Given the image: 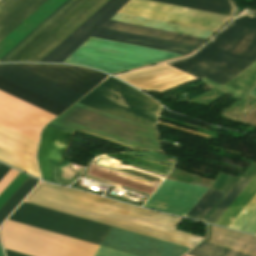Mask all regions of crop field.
<instances>
[{"label":"crop field","instance_id":"obj_1","mask_svg":"<svg viewBox=\"0 0 256 256\" xmlns=\"http://www.w3.org/2000/svg\"><path fill=\"white\" fill-rule=\"evenodd\" d=\"M133 0H109L41 62H63L89 39L185 56L204 39L110 21ZM121 14L214 32L229 17L134 0Z\"/></svg>","mask_w":256,"mask_h":256},{"label":"crop field","instance_id":"obj_2","mask_svg":"<svg viewBox=\"0 0 256 256\" xmlns=\"http://www.w3.org/2000/svg\"><path fill=\"white\" fill-rule=\"evenodd\" d=\"M191 248L201 237L174 230L182 218L42 182L25 201ZM202 241V240H201Z\"/></svg>","mask_w":256,"mask_h":256},{"label":"crop field","instance_id":"obj_3","mask_svg":"<svg viewBox=\"0 0 256 256\" xmlns=\"http://www.w3.org/2000/svg\"><path fill=\"white\" fill-rule=\"evenodd\" d=\"M101 245L111 226L23 202L9 218ZM102 246L139 256H181L189 248L112 227Z\"/></svg>","mask_w":256,"mask_h":256},{"label":"crop field","instance_id":"obj_4","mask_svg":"<svg viewBox=\"0 0 256 256\" xmlns=\"http://www.w3.org/2000/svg\"><path fill=\"white\" fill-rule=\"evenodd\" d=\"M256 60V17L240 15L194 56L166 63L221 85Z\"/></svg>","mask_w":256,"mask_h":256},{"label":"crop field","instance_id":"obj_5","mask_svg":"<svg viewBox=\"0 0 256 256\" xmlns=\"http://www.w3.org/2000/svg\"><path fill=\"white\" fill-rule=\"evenodd\" d=\"M108 0H66L1 59L40 62Z\"/></svg>","mask_w":256,"mask_h":256},{"label":"crop field","instance_id":"obj_6","mask_svg":"<svg viewBox=\"0 0 256 256\" xmlns=\"http://www.w3.org/2000/svg\"><path fill=\"white\" fill-rule=\"evenodd\" d=\"M52 124L77 132L82 129L147 150L161 151L156 129L77 103Z\"/></svg>","mask_w":256,"mask_h":256},{"label":"crop field","instance_id":"obj_7","mask_svg":"<svg viewBox=\"0 0 256 256\" xmlns=\"http://www.w3.org/2000/svg\"><path fill=\"white\" fill-rule=\"evenodd\" d=\"M4 247L31 256H93L98 245L7 220L0 231ZM94 256H134L109 248Z\"/></svg>","mask_w":256,"mask_h":256},{"label":"crop field","instance_id":"obj_8","mask_svg":"<svg viewBox=\"0 0 256 256\" xmlns=\"http://www.w3.org/2000/svg\"><path fill=\"white\" fill-rule=\"evenodd\" d=\"M79 103L154 127L160 108L153 99L111 77Z\"/></svg>","mask_w":256,"mask_h":256},{"label":"crop field","instance_id":"obj_9","mask_svg":"<svg viewBox=\"0 0 256 256\" xmlns=\"http://www.w3.org/2000/svg\"><path fill=\"white\" fill-rule=\"evenodd\" d=\"M55 116L0 92V125L38 142L41 128Z\"/></svg>","mask_w":256,"mask_h":256},{"label":"crop field","instance_id":"obj_10","mask_svg":"<svg viewBox=\"0 0 256 256\" xmlns=\"http://www.w3.org/2000/svg\"><path fill=\"white\" fill-rule=\"evenodd\" d=\"M206 190L165 179L143 207L185 216Z\"/></svg>","mask_w":256,"mask_h":256},{"label":"crop field","instance_id":"obj_11","mask_svg":"<svg viewBox=\"0 0 256 256\" xmlns=\"http://www.w3.org/2000/svg\"><path fill=\"white\" fill-rule=\"evenodd\" d=\"M82 95L101 82L107 75L94 70L64 65L16 64Z\"/></svg>","mask_w":256,"mask_h":256},{"label":"crop field","instance_id":"obj_12","mask_svg":"<svg viewBox=\"0 0 256 256\" xmlns=\"http://www.w3.org/2000/svg\"><path fill=\"white\" fill-rule=\"evenodd\" d=\"M0 76L31 89L67 107L82 95L22 69L14 64L0 65Z\"/></svg>","mask_w":256,"mask_h":256},{"label":"crop field","instance_id":"obj_13","mask_svg":"<svg viewBox=\"0 0 256 256\" xmlns=\"http://www.w3.org/2000/svg\"><path fill=\"white\" fill-rule=\"evenodd\" d=\"M38 143L0 126V146L36 162ZM0 147V160L39 178L37 164Z\"/></svg>","mask_w":256,"mask_h":256},{"label":"crop field","instance_id":"obj_14","mask_svg":"<svg viewBox=\"0 0 256 256\" xmlns=\"http://www.w3.org/2000/svg\"><path fill=\"white\" fill-rule=\"evenodd\" d=\"M117 77L139 89L143 87L158 89L195 79L166 64L120 75Z\"/></svg>","mask_w":256,"mask_h":256},{"label":"crop field","instance_id":"obj_15","mask_svg":"<svg viewBox=\"0 0 256 256\" xmlns=\"http://www.w3.org/2000/svg\"><path fill=\"white\" fill-rule=\"evenodd\" d=\"M72 134L47 127L39 153V162L44 180L51 181V167L49 160L61 162Z\"/></svg>","mask_w":256,"mask_h":256},{"label":"crop field","instance_id":"obj_16","mask_svg":"<svg viewBox=\"0 0 256 256\" xmlns=\"http://www.w3.org/2000/svg\"><path fill=\"white\" fill-rule=\"evenodd\" d=\"M46 0H0V42Z\"/></svg>","mask_w":256,"mask_h":256},{"label":"crop field","instance_id":"obj_17","mask_svg":"<svg viewBox=\"0 0 256 256\" xmlns=\"http://www.w3.org/2000/svg\"><path fill=\"white\" fill-rule=\"evenodd\" d=\"M0 91L18 98L26 103L38 107L55 116L63 112L67 107L41 96L31 90L17 85L7 79L0 77Z\"/></svg>","mask_w":256,"mask_h":256},{"label":"crop field","instance_id":"obj_18","mask_svg":"<svg viewBox=\"0 0 256 256\" xmlns=\"http://www.w3.org/2000/svg\"><path fill=\"white\" fill-rule=\"evenodd\" d=\"M210 242L251 256H256L255 237L213 226Z\"/></svg>","mask_w":256,"mask_h":256},{"label":"crop field","instance_id":"obj_19","mask_svg":"<svg viewBox=\"0 0 256 256\" xmlns=\"http://www.w3.org/2000/svg\"><path fill=\"white\" fill-rule=\"evenodd\" d=\"M222 15L232 16L235 4L232 0H151Z\"/></svg>","mask_w":256,"mask_h":256},{"label":"crop field","instance_id":"obj_20","mask_svg":"<svg viewBox=\"0 0 256 256\" xmlns=\"http://www.w3.org/2000/svg\"><path fill=\"white\" fill-rule=\"evenodd\" d=\"M256 194V175L251 179L248 185L232 202L222 216L215 224L228 227L235 217L241 212L251 198Z\"/></svg>","mask_w":256,"mask_h":256},{"label":"crop field","instance_id":"obj_21","mask_svg":"<svg viewBox=\"0 0 256 256\" xmlns=\"http://www.w3.org/2000/svg\"><path fill=\"white\" fill-rule=\"evenodd\" d=\"M223 194V192L208 189L186 216L202 220Z\"/></svg>","mask_w":256,"mask_h":256},{"label":"crop field","instance_id":"obj_22","mask_svg":"<svg viewBox=\"0 0 256 256\" xmlns=\"http://www.w3.org/2000/svg\"><path fill=\"white\" fill-rule=\"evenodd\" d=\"M39 181L29 177L25 183L15 192V194L0 209V224L15 209V207L25 198Z\"/></svg>","mask_w":256,"mask_h":256},{"label":"crop field","instance_id":"obj_23","mask_svg":"<svg viewBox=\"0 0 256 256\" xmlns=\"http://www.w3.org/2000/svg\"><path fill=\"white\" fill-rule=\"evenodd\" d=\"M248 182L249 180L241 177L232 187V189L227 193V195L222 199V201L217 205V207L212 211V213L207 217L205 222L214 224Z\"/></svg>","mask_w":256,"mask_h":256},{"label":"crop field","instance_id":"obj_24","mask_svg":"<svg viewBox=\"0 0 256 256\" xmlns=\"http://www.w3.org/2000/svg\"><path fill=\"white\" fill-rule=\"evenodd\" d=\"M187 254L192 256H247L205 241Z\"/></svg>","mask_w":256,"mask_h":256},{"label":"crop field","instance_id":"obj_25","mask_svg":"<svg viewBox=\"0 0 256 256\" xmlns=\"http://www.w3.org/2000/svg\"><path fill=\"white\" fill-rule=\"evenodd\" d=\"M241 231L256 234V211L240 229Z\"/></svg>","mask_w":256,"mask_h":256},{"label":"crop field","instance_id":"obj_26","mask_svg":"<svg viewBox=\"0 0 256 256\" xmlns=\"http://www.w3.org/2000/svg\"><path fill=\"white\" fill-rule=\"evenodd\" d=\"M19 174V172L11 169L7 175L0 181V194L4 189L14 180V178Z\"/></svg>","mask_w":256,"mask_h":256},{"label":"crop field","instance_id":"obj_27","mask_svg":"<svg viewBox=\"0 0 256 256\" xmlns=\"http://www.w3.org/2000/svg\"><path fill=\"white\" fill-rule=\"evenodd\" d=\"M239 122L249 124L256 127V107L245 115Z\"/></svg>","mask_w":256,"mask_h":256},{"label":"crop field","instance_id":"obj_28","mask_svg":"<svg viewBox=\"0 0 256 256\" xmlns=\"http://www.w3.org/2000/svg\"><path fill=\"white\" fill-rule=\"evenodd\" d=\"M10 168L0 164V180L6 175Z\"/></svg>","mask_w":256,"mask_h":256},{"label":"crop field","instance_id":"obj_29","mask_svg":"<svg viewBox=\"0 0 256 256\" xmlns=\"http://www.w3.org/2000/svg\"><path fill=\"white\" fill-rule=\"evenodd\" d=\"M6 254H7V256H28V255H24V254H21V253L13 252V251H10V250H6Z\"/></svg>","mask_w":256,"mask_h":256},{"label":"crop field","instance_id":"obj_30","mask_svg":"<svg viewBox=\"0 0 256 256\" xmlns=\"http://www.w3.org/2000/svg\"><path fill=\"white\" fill-rule=\"evenodd\" d=\"M49 127L56 128V129L74 134V131H71V130H68V129H65V128H61V127H58V126H55V125H52V124H50Z\"/></svg>","mask_w":256,"mask_h":256},{"label":"crop field","instance_id":"obj_31","mask_svg":"<svg viewBox=\"0 0 256 256\" xmlns=\"http://www.w3.org/2000/svg\"><path fill=\"white\" fill-rule=\"evenodd\" d=\"M0 256H4L1 246H0Z\"/></svg>","mask_w":256,"mask_h":256},{"label":"crop field","instance_id":"obj_32","mask_svg":"<svg viewBox=\"0 0 256 256\" xmlns=\"http://www.w3.org/2000/svg\"><path fill=\"white\" fill-rule=\"evenodd\" d=\"M249 11H251V12H254V13H256V11H254V10H250V9H248Z\"/></svg>","mask_w":256,"mask_h":256}]
</instances>
